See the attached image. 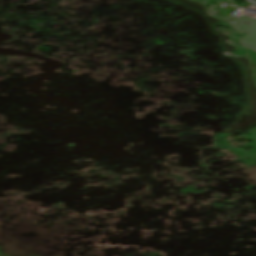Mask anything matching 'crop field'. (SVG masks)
<instances>
[{"instance_id": "obj_1", "label": "crop field", "mask_w": 256, "mask_h": 256, "mask_svg": "<svg viewBox=\"0 0 256 256\" xmlns=\"http://www.w3.org/2000/svg\"><path fill=\"white\" fill-rule=\"evenodd\" d=\"M247 52H248V55H249L250 58H251L252 66H253L254 72L256 73V51L247 48Z\"/></svg>"}]
</instances>
